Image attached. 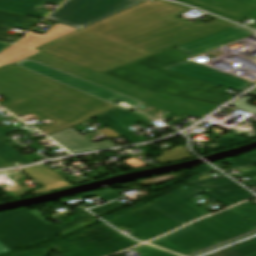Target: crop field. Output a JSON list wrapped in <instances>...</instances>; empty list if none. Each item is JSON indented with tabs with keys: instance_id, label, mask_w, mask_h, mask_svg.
I'll return each mask as SVG.
<instances>
[{
	"instance_id": "obj_7",
	"label": "crop field",
	"mask_w": 256,
	"mask_h": 256,
	"mask_svg": "<svg viewBox=\"0 0 256 256\" xmlns=\"http://www.w3.org/2000/svg\"><path fill=\"white\" fill-rule=\"evenodd\" d=\"M63 231L55 224H45L26 209L0 214V243L11 250L57 236Z\"/></svg>"
},
{
	"instance_id": "obj_44",
	"label": "crop field",
	"mask_w": 256,
	"mask_h": 256,
	"mask_svg": "<svg viewBox=\"0 0 256 256\" xmlns=\"http://www.w3.org/2000/svg\"><path fill=\"white\" fill-rule=\"evenodd\" d=\"M256 8V0H234Z\"/></svg>"
},
{
	"instance_id": "obj_43",
	"label": "crop field",
	"mask_w": 256,
	"mask_h": 256,
	"mask_svg": "<svg viewBox=\"0 0 256 256\" xmlns=\"http://www.w3.org/2000/svg\"><path fill=\"white\" fill-rule=\"evenodd\" d=\"M15 131H18V130L14 127L6 128V129H3V128L0 127V137L5 136V135H7L9 133H12V132H15Z\"/></svg>"
},
{
	"instance_id": "obj_48",
	"label": "crop field",
	"mask_w": 256,
	"mask_h": 256,
	"mask_svg": "<svg viewBox=\"0 0 256 256\" xmlns=\"http://www.w3.org/2000/svg\"><path fill=\"white\" fill-rule=\"evenodd\" d=\"M10 252H11V250H9L8 248H6L2 244H0V254L1 253H10Z\"/></svg>"
},
{
	"instance_id": "obj_42",
	"label": "crop field",
	"mask_w": 256,
	"mask_h": 256,
	"mask_svg": "<svg viewBox=\"0 0 256 256\" xmlns=\"http://www.w3.org/2000/svg\"><path fill=\"white\" fill-rule=\"evenodd\" d=\"M17 129H19L20 131H22L23 133L29 135L32 133H36L35 131H33L32 129H30L29 127H27L26 125L22 124L19 126H15Z\"/></svg>"
},
{
	"instance_id": "obj_20",
	"label": "crop field",
	"mask_w": 256,
	"mask_h": 256,
	"mask_svg": "<svg viewBox=\"0 0 256 256\" xmlns=\"http://www.w3.org/2000/svg\"><path fill=\"white\" fill-rule=\"evenodd\" d=\"M22 171L44 186L42 189L31 193L32 195L71 186L64 177L44 167L26 168Z\"/></svg>"
},
{
	"instance_id": "obj_21",
	"label": "crop field",
	"mask_w": 256,
	"mask_h": 256,
	"mask_svg": "<svg viewBox=\"0 0 256 256\" xmlns=\"http://www.w3.org/2000/svg\"><path fill=\"white\" fill-rule=\"evenodd\" d=\"M204 194L227 206L239 203L253 196L252 193L238 184L210 191Z\"/></svg>"
},
{
	"instance_id": "obj_15",
	"label": "crop field",
	"mask_w": 256,
	"mask_h": 256,
	"mask_svg": "<svg viewBox=\"0 0 256 256\" xmlns=\"http://www.w3.org/2000/svg\"><path fill=\"white\" fill-rule=\"evenodd\" d=\"M19 65H22L26 68L33 70V71H36L38 73H41L43 75H46V76L56 79L58 81H61L63 83H66L70 86L78 88L82 91H85V92L92 94L96 97H99L101 99L107 100L111 103H113L112 102L113 100L120 99L128 104H140L139 102H137L135 100L129 99V98L119 95L117 93L111 92L109 90H106L99 86L93 85L86 81L80 80L73 76L67 75L65 73L59 72L57 70H54L52 68H49L47 66H44L42 64H39V63L31 61V60L21 62V63H19ZM113 104H115V103H113ZM115 105H117V104H115ZM117 106H119V105H117ZM119 107H121V106H119ZM121 108H123V107H121Z\"/></svg>"
},
{
	"instance_id": "obj_41",
	"label": "crop field",
	"mask_w": 256,
	"mask_h": 256,
	"mask_svg": "<svg viewBox=\"0 0 256 256\" xmlns=\"http://www.w3.org/2000/svg\"><path fill=\"white\" fill-rule=\"evenodd\" d=\"M50 12L37 8L30 16L44 19Z\"/></svg>"
},
{
	"instance_id": "obj_19",
	"label": "crop field",
	"mask_w": 256,
	"mask_h": 256,
	"mask_svg": "<svg viewBox=\"0 0 256 256\" xmlns=\"http://www.w3.org/2000/svg\"><path fill=\"white\" fill-rule=\"evenodd\" d=\"M49 136L72 153L115 146L109 140L93 144L72 128Z\"/></svg>"
},
{
	"instance_id": "obj_18",
	"label": "crop field",
	"mask_w": 256,
	"mask_h": 256,
	"mask_svg": "<svg viewBox=\"0 0 256 256\" xmlns=\"http://www.w3.org/2000/svg\"><path fill=\"white\" fill-rule=\"evenodd\" d=\"M95 119H97L98 121H100L101 123L112 129L113 131L117 132L132 143L143 142L126 129V127L134 125L140 121L120 108H116Z\"/></svg>"
},
{
	"instance_id": "obj_24",
	"label": "crop field",
	"mask_w": 256,
	"mask_h": 256,
	"mask_svg": "<svg viewBox=\"0 0 256 256\" xmlns=\"http://www.w3.org/2000/svg\"><path fill=\"white\" fill-rule=\"evenodd\" d=\"M97 219L82 210L81 208L75 209L74 217L71 218V222L58 224L66 232L71 233L73 230L84 228L95 224Z\"/></svg>"
},
{
	"instance_id": "obj_38",
	"label": "crop field",
	"mask_w": 256,
	"mask_h": 256,
	"mask_svg": "<svg viewBox=\"0 0 256 256\" xmlns=\"http://www.w3.org/2000/svg\"><path fill=\"white\" fill-rule=\"evenodd\" d=\"M5 29H6V27H1L0 26V41L14 43V42H16L17 40H19L21 38L19 36H14V35L1 33Z\"/></svg>"
},
{
	"instance_id": "obj_9",
	"label": "crop field",
	"mask_w": 256,
	"mask_h": 256,
	"mask_svg": "<svg viewBox=\"0 0 256 256\" xmlns=\"http://www.w3.org/2000/svg\"><path fill=\"white\" fill-rule=\"evenodd\" d=\"M59 85L15 64L0 68V95L10 100L4 107Z\"/></svg>"
},
{
	"instance_id": "obj_32",
	"label": "crop field",
	"mask_w": 256,
	"mask_h": 256,
	"mask_svg": "<svg viewBox=\"0 0 256 256\" xmlns=\"http://www.w3.org/2000/svg\"><path fill=\"white\" fill-rule=\"evenodd\" d=\"M231 209L256 222V206L251 202L247 201Z\"/></svg>"
},
{
	"instance_id": "obj_52",
	"label": "crop field",
	"mask_w": 256,
	"mask_h": 256,
	"mask_svg": "<svg viewBox=\"0 0 256 256\" xmlns=\"http://www.w3.org/2000/svg\"><path fill=\"white\" fill-rule=\"evenodd\" d=\"M208 132H210V133H212V134H217L218 132H215V131H212V130H210V131H208Z\"/></svg>"
},
{
	"instance_id": "obj_51",
	"label": "crop field",
	"mask_w": 256,
	"mask_h": 256,
	"mask_svg": "<svg viewBox=\"0 0 256 256\" xmlns=\"http://www.w3.org/2000/svg\"><path fill=\"white\" fill-rule=\"evenodd\" d=\"M249 94L256 96V90L250 92Z\"/></svg>"
},
{
	"instance_id": "obj_3",
	"label": "crop field",
	"mask_w": 256,
	"mask_h": 256,
	"mask_svg": "<svg viewBox=\"0 0 256 256\" xmlns=\"http://www.w3.org/2000/svg\"><path fill=\"white\" fill-rule=\"evenodd\" d=\"M146 0H69L47 20L58 23L44 35L30 32L0 53V67L39 53L35 49Z\"/></svg>"
},
{
	"instance_id": "obj_34",
	"label": "crop field",
	"mask_w": 256,
	"mask_h": 256,
	"mask_svg": "<svg viewBox=\"0 0 256 256\" xmlns=\"http://www.w3.org/2000/svg\"><path fill=\"white\" fill-rule=\"evenodd\" d=\"M94 195L99 196L106 202L113 200L115 198L123 197L122 195L118 194L117 191H115L113 189H108V190H102L99 192L83 195V196H80L79 198L83 199V198H87V197L94 196Z\"/></svg>"
},
{
	"instance_id": "obj_26",
	"label": "crop field",
	"mask_w": 256,
	"mask_h": 256,
	"mask_svg": "<svg viewBox=\"0 0 256 256\" xmlns=\"http://www.w3.org/2000/svg\"><path fill=\"white\" fill-rule=\"evenodd\" d=\"M190 183L201 185L211 190L235 184V182L231 181L226 177L214 180L207 174L197 176L192 181H190Z\"/></svg>"
},
{
	"instance_id": "obj_2",
	"label": "crop field",
	"mask_w": 256,
	"mask_h": 256,
	"mask_svg": "<svg viewBox=\"0 0 256 256\" xmlns=\"http://www.w3.org/2000/svg\"><path fill=\"white\" fill-rule=\"evenodd\" d=\"M188 58L191 57L173 48L103 74L148 92L216 106L233 97L215 91L220 86L161 69Z\"/></svg>"
},
{
	"instance_id": "obj_17",
	"label": "crop field",
	"mask_w": 256,
	"mask_h": 256,
	"mask_svg": "<svg viewBox=\"0 0 256 256\" xmlns=\"http://www.w3.org/2000/svg\"><path fill=\"white\" fill-rule=\"evenodd\" d=\"M178 2L194 5L236 22H242L255 10V8L231 0H178Z\"/></svg>"
},
{
	"instance_id": "obj_47",
	"label": "crop field",
	"mask_w": 256,
	"mask_h": 256,
	"mask_svg": "<svg viewBox=\"0 0 256 256\" xmlns=\"http://www.w3.org/2000/svg\"><path fill=\"white\" fill-rule=\"evenodd\" d=\"M11 165L0 157V168L10 167Z\"/></svg>"
},
{
	"instance_id": "obj_50",
	"label": "crop field",
	"mask_w": 256,
	"mask_h": 256,
	"mask_svg": "<svg viewBox=\"0 0 256 256\" xmlns=\"http://www.w3.org/2000/svg\"><path fill=\"white\" fill-rule=\"evenodd\" d=\"M248 18H251L253 20H256V10L248 16Z\"/></svg>"
},
{
	"instance_id": "obj_46",
	"label": "crop field",
	"mask_w": 256,
	"mask_h": 256,
	"mask_svg": "<svg viewBox=\"0 0 256 256\" xmlns=\"http://www.w3.org/2000/svg\"><path fill=\"white\" fill-rule=\"evenodd\" d=\"M211 170H213V169L208 166H205V167L199 168L198 172L195 174H199V173H203V172H207V171H211Z\"/></svg>"
},
{
	"instance_id": "obj_49",
	"label": "crop field",
	"mask_w": 256,
	"mask_h": 256,
	"mask_svg": "<svg viewBox=\"0 0 256 256\" xmlns=\"http://www.w3.org/2000/svg\"><path fill=\"white\" fill-rule=\"evenodd\" d=\"M8 46H10V44L0 42V52L3 51L4 49H6Z\"/></svg>"
},
{
	"instance_id": "obj_54",
	"label": "crop field",
	"mask_w": 256,
	"mask_h": 256,
	"mask_svg": "<svg viewBox=\"0 0 256 256\" xmlns=\"http://www.w3.org/2000/svg\"><path fill=\"white\" fill-rule=\"evenodd\" d=\"M254 29H256V28H254Z\"/></svg>"
},
{
	"instance_id": "obj_13",
	"label": "crop field",
	"mask_w": 256,
	"mask_h": 256,
	"mask_svg": "<svg viewBox=\"0 0 256 256\" xmlns=\"http://www.w3.org/2000/svg\"><path fill=\"white\" fill-rule=\"evenodd\" d=\"M223 87L233 89L235 91H242L253 83L244 79L232 76L230 74L208 68L202 65L195 64L188 60L175 64L173 66L163 68Z\"/></svg>"
},
{
	"instance_id": "obj_8",
	"label": "crop field",
	"mask_w": 256,
	"mask_h": 256,
	"mask_svg": "<svg viewBox=\"0 0 256 256\" xmlns=\"http://www.w3.org/2000/svg\"><path fill=\"white\" fill-rule=\"evenodd\" d=\"M108 222L121 231H129V236L142 242L184 225L150 204Z\"/></svg>"
},
{
	"instance_id": "obj_12",
	"label": "crop field",
	"mask_w": 256,
	"mask_h": 256,
	"mask_svg": "<svg viewBox=\"0 0 256 256\" xmlns=\"http://www.w3.org/2000/svg\"><path fill=\"white\" fill-rule=\"evenodd\" d=\"M209 190L194 189V188H180L176 192L162 197L150 204L186 224L190 221L210 214L209 210L199 206L195 198Z\"/></svg>"
},
{
	"instance_id": "obj_23",
	"label": "crop field",
	"mask_w": 256,
	"mask_h": 256,
	"mask_svg": "<svg viewBox=\"0 0 256 256\" xmlns=\"http://www.w3.org/2000/svg\"><path fill=\"white\" fill-rule=\"evenodd\" d=\"M40 21H41L40 19L26 17V16L0 10L1 26L23 29V30H30Z\"/></svg>"
},
{
	"instance_id": "obj_11",
	"label": "crop field",
	"mask_w": 256,
	"mask_h": 256,
	"mask_svg": "<svg viewBox=\"0 0 256 256\" xmlns=\"http://www.w3.org/2000/svg\"><path fill=\"white\" fill-rule=\"evenodd\" d=\"M68 240L91 256H104L139 244L119 234L107 224L85 230L83 234Z\"/></svg>"
},
{
	"instance_id": "obj_1",
	"label": "crop field",
	"mask_w": 256,
	"mask_h": 256,
	"mask_svg": "<svg viewBox=\"0 0 256 256\" xmlns=\"http://www.w3.org/2000/svg\"><path fill=\"white\" fill-rule=\"evenodd\" d=\"M188 10L162 0L144 2L78 32L152 56L236 26L220 19L192 24L175 18Z\"/></svg>"
},
{
	"instance_id": "obj_29",
	"label": "crop field",
	"mask_w": 256,
	"mask_h": 256,
	"mask_svg": "<svg viewBox=\"0 0 256 256\" xmlns=\"http://www.w3.org/2000/svg\"><path fill=\"white\" fill-rule=\"evenodd\" d=\"M228 164L251 178V182L256 184V168L250 164L247 160L244 158L242 159H235V160H228L226 161Z\"/></svg>"
},
{
	"instance_id": "obj_5",
	"label": "crop field",
	"mask_w": 256,
	"mask_h": 256,
	"mask_svg": "<svg viewBox=\"0 0 256 256\" xmlns=\"http://www.w3.org/2000/svg\"><path fill=\"white\" fill-rule=\"evenodd\" d=\"M37 49L100 73L149 57L78 32Z\"/></svg>"
},
{
	"instance_id": "obj_35",
	"label": "crop field",
	"mask_w": 256,
	"mask_h": 256,
	"mask_svg": "<svg viewBox=\"0 0 256 256\" xmlns=\"http://www.w3.org/2000/svg\"><path fill=\"white\" fill-rule=\"evenodd\" d=\"M120 208H123V206L121 204L117 203V202H114V203H111V204H108V205H105V206H102V207L95 208V209L90 210V211L93 212L94 214L98 215V216H101V215H104L106 213L115 211V210L120 209Z\"/></svg>"
},
{
	"instance_id": "obj_53",
	"label": "crop field",
	"mask_w": 256,
	"mask_h": 256,
	"mask_svg": "<svg viewBox=\"0 0 256 256\" xmlns=\"http://www.w3.org/2000/svg\"><path fill=\"white\" fill-rule=\"evenodd\" d=\"M249 256H256V253H254V254H251V255H249Z\"/></svg>"
},
{
	"instance_id": "obj_6",
	"label": "crop field",
	"mask_w": 256,
	"mask_h": 256,
	"mask_svg": "<svg viewBox=\"0 0 256 256\" xmlns=\"http://www.w3.org/2000/svg\"><path fill=\"white\" fill-rule=\"evenodd\" d=\"M29 58L58 68L65 72L71 73L73 75L79 76L94 83L100 84L124 95L132 97L144 103H148L152 106L166 110L179 116L187 113L201 118L216 108V106L148 93L131 85L125 84L103 74L97 73L95 71L89 70L87 68L81 67L79 65L73 64L71 62L65 61L44 52H41Z\"/></svg>"
},
{
	"instance_id": "obj_39",
	"label": "crop field",
	"mask_w": 256,
	"mask_h": 256,
	"mask_svg": "<svg viewBox=\"0 0 256 256\" xmlns=\"http://www.w3.org/2000/svg\"><path fill=\"white\" fill-rule=\"evenodd\" d=\"M49 253H50V249H47L42 251L26 252L20 255H11V256H48Z\"/></svg>"
},
{
	"instance_id": "obj_37",
	"label": "crop field",
	"mask_w": 256,
	"mask_h": 256,
	"mask_svg": "<svg viewBox=\"0 0 256 256\" xmlns=\"http://www.w3.org/2000/svg\"><path fill=\"white\" fill-rule=\"evenodd\" d=\"M146 108H144V109H141V111H143V112H145V113H147V114H149V115H151V116H153V117H163V118H165V117H167L169 114L168 113H166L165 111H163V110H159V109H156V108H154V107H152V106H149V105H144ZM171 114V113H170Z\"/></svg>"
},
{
	"instance_id": "obj_22",
	"label": "crop field",
	"mask_w": 256,
	"mask_h": 256,
	"mask_svg": "<svg viewBox=\"0 0 256 256\" xmlns=\"http://www.w3.org/2000/svg\"><path fill=\"white\" fill-rule=\"evenodd\" d=\"M65 0H0V9L28 16L42 2L59 5Z\"/></svg>"
},
{
	"instance_id": "obj_25",
	"label": "crop field",
	"mask_w": 256,
	"mask_h": 256,
	"mask_svg": "<svg viewBox=\"0 0 256 256\" xmlns=\"http://www.w3.org/2000/svg\"><path fill=\"white\" fill-rule=\"evenodd\" d=\"M256 252V239L217 252L210 256H246Z\"/></svg>"
},
{
	"instance_id": "obj_28",
	"label": "crop field",
	"mask_w": 256,
	"mask_h": 256,
	"mask_svg": "<svg viewBox=\"0 0 256 256\" xmlns=\"http://www.w3.org/2000/svg\"><path fill=\"white\" fill-rule=\"evenodd\" d=\"M53 250L62 256H89L87 253L73 245L67 240L59 242L52 246Z\"/></svg>"
},
{
	"instance_id": "obj_36",
	"label": "crop field",
	"mask_w": 256,
	"mask_h": 256,
	"mask_svg": "<svg viewBox=\"0 0 256 256\" xmlns=\"http://www.w3.org/2000/svg\"><path fill=\"white\" fill-rule=\"evenodd\" d=\"M250 99L251 98L245 96V97L239 99L238 101L234 102L230 106H233L235 108H238V109H241V110H245V111H249V112H252V113L256 114V107L245 104Z\"/></svg>"
},
{
	"instance_id": "obj_16",
	"label": "crop field",
	"mask_w": 256,
	"mask_h": 256,
	"mask_svg": "<svg viewBox=\"0 0 256 256\" xmlns=\"http://www.w3.org/2000/svg\"><path fill=\"white\" fill-rule=\"evenodd\" d=\"M255 33L243 27L236 26L176 48L194 57Z\"/></svg>"
},
{
	"instance_id": "obj_14",
	"label": "crop field",
	"mask_w": 256,
	"mask_h": 256,
	"mask_svg": "<svg viewBox=\"0 0 256 256\" xmlns=\"http://www.w3.org/2000/svg\"><path fill=\"white\" fill-rule=\"evenodd\" d=\"M149 244L186 256L218 243L186 226Z\"/></svg>"
},
{
	"instance_id": "obj_4",
	"label": "crop field",
	"mask_w": 256,
	"mask_h": 256,
	"mask_svg": "<svg viewBox=\"0 0 256 256\" xmlns=\"http://www.w3.org/2000/svg\"><path fill=\"white\" fill-rule=\"evenodd\" d=\"M16 115L40 112L55 123L37 128L49 135L89 121L115 106L61 85L6 107Z\"/></svg>"
},
{
	"instance_id": "obj_45",
	"label": "crop field",
	"mask_w": 256,
	"mask_h": 256,
	"mask_svg": "<svg viewBox=\"0 0 256 256\" xmlns=\"http://www.w3.org/2000/svg\"><path fill=\"white\" fill-rule=\"evenodd\" d=\"M245 159H247L253 165H256V154L249 155V156L245 157Z\"/></svg>"
},
{
	"instance_id": "obj_40",
	"label": "crop field",
	"mask_w": 256,
	"mask_h": 256,
	"mask_svg": "<svg viewBox=\"0 0 256 256\" xmlns=\"http://www.w3.org/2000/svg\"><path fill=\"white\" fill-rule=\"evenodd\" d=\"M124 162L133 168L146 166V164H144L143 162H141L140 160H138L136 158L125 160Z\"/></svg>"
},
{
	"instance_id": "obj_27",
	"label": "crop field",
	"mask_w": 256,
	"mask_h": 256,
	"mask_svg": "<svg viewBox=\"0 0 256 256\" xmlns=\"http://www.w3.org/2000/svg\"><path fill=\"white\" fill-rule=\"evenodd\" d=\"M185 146L176 147L168 152L163 153L162 156L156 158L161 164L173 162L177 160L191 158Z\"/></svg>"
},
{
	"instance_id": "obj_31",
	"label": "crop field",
	"mask_w": 256,
	"mask_h": 256,
	"mask_svg": "<svg viewBox=\"0 0 256 256\" xmlns=\"http://www.w3.org/2000/svg\"><path fill=\"white\" fill-rule=\"evenodd\" d=\"M0 156L8 162L14 160L16 162H20L23 165L29 163L24 157H22L16 151L5 146L1 142H0Z\"/></svg>"
},
{
	"instance_id": "obj_33",
	"label": "crop field",
	"mask_w": 256,
	"mask_h": 256,
	"mask_svg": "<svg viewBox=\"0 0 256 256\" xmlns=\"http://www.w3.org/2000/svg\"><path fill=\"white\" fill-rule=\"evenodd\" d=\"M132 250L142 254L141 256H178L148 245H142Z\"/></svg>"
},
{
	"instance_id": "obj_30",
	"label": "crop field",
	"mask_w": 256,
	"mask_h": 256,
	"mask_svg": "<svg viewBox=\"0 0 256 256\" xmlns=\"http://www.w3.org/2000/svg\"><path fill=\"white\" fill-rule=\"evenodd\" d=\"M212 130H215V131L220 132V133L217 134L216 136H219L220 134H222V133L224 132V131H222V130L216 128V127H214ZM219 137H221V136H219ZM247 141H249V140H246V139H244V138H241V137H238V136H236V135H233V134L229 133V134H227V135L221 137L219 140L215 141V144H216L217 142H221V143H222V144H221L222 146H218V145L216 144V146H217L218 148H213V147H211L212 145H210V146H208V147H209L210 149H212V150H217V149H222V148L230 147V146H233V145L245 143V142H247Z\"/></svg>"
},
{
	"instance_id": "obj_10",
	"label": "crop field",
	"mask_w": 256,
	"mask_h": 256,
	"mask_svg": "<svg viewBox=\"0 0 256 256\" xmlns=\"http://www.w3.org/2000/svg\"><path fill=\"white\" fill-rule=\"evenodd\" d=\"M188 226L219 243L256 229V223L230 209Z\"/></svg>"
}]
</instances>
